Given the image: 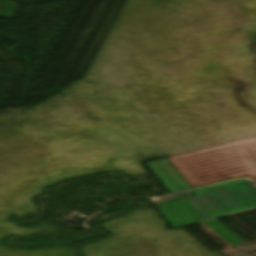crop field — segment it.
<instances>
[{
  "instance_id": "crop-field-1",
  "label": "crop field",
  "mask_w": 256,
  "mask_h": 256,
  "mask_svg": "<svg viewBox=\"0 0 256 256\" xmlns=\"http://www.w3.org/2000/svg\"><path fill=\"white\" fill-rule=\"evenodd\" d=\"M169 160L192 188L242 176H250L256 183V138Z\"/></svg>"
},
{
  "instance_id": "crop-field-2",
  "label": "crop field",
  "mask_w": 256,
  "mask_h": 256,
  "mask_svg": "<svg viewBox=\"0 0 256 256\" xmlns=\"http://www.w3.org/2000/svg\"><path fill=\"white\" fill-rule=\"evenodd\" d=\"M189 197L205 219L256 207V189L250 180H240L194 191Z\"/></svg>"
},
{
  "instance_id": "crop-field-3",
  "label": "crop field",
  "mask_w": 256,
  "mask_h": 256,
  "mask_svg": "<svg viewBox=\"0 0 256 256\" xmlns=\"http://www.w3.org/2000/svg\"><path fill=\"white\" fill-rule=\"evenodd\" d=\"M158 207L173 227L202 220L187 198L160 204Z\"/></svg>"
},
{
  "instance_id": "crop-field-4",
  "label": "crop field",
  "mask_w": 256,
  "mask_h": 256,
  "mask_svg": "<svg viewBox=\"0 0 256 256\" xmlns=\"http://www.w3.org/2000/svg\"><path fill=\"white\" fill-rule=\"evenodd\" d=\"M148 165L172 194L191 189L167 159Z\"/></svg>"
},
{
  "instance_id": "crop-field-5",
  "label": "crop field",
  "mask_w": 256,
  "mask_h": 256,
  "mask_svg": "<svg viewBox=\"0 0 256 256\" xmlns=\"http://www.w3.org/2000/svg\"><path fill=\"white\" fill-rule=\"evenodd\" d=\"M205 223L208 224L212 229H214L218 234H220L234 247L246 244L242 239H240L238 236H236L234 233H232L230 230H228L215 219L205 221Z\"/></svg>"
}]
</instances>
